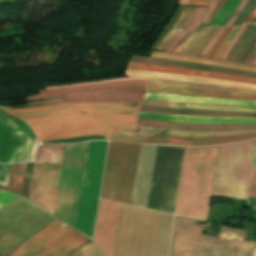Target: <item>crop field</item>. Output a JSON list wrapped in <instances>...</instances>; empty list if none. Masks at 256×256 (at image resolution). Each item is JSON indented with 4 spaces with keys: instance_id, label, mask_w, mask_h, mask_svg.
Masks as SVG:
<instances>
[{
    "instance_id": "8a807250",
    "label": "crop field",
    "mask_w": 256,
    "mask_h": 256,
    "mask_svg": "<svg viewBox=\"0 0 256 256\" xmlns=\"http://www.w3.org/2000/svg\"><path fill=\"white\" fill-rule=\"evenodd\" d=\"M144 82L127 80L39 90L40 95L27 97L26 100L75 96L29 105L77 101L140 102ZM130 102L61 103L6 110L24 119L32 127L38 139L45 141L89 135L112 136L114 128L134 130L135 116L140 103Z\"/></svg>"
},
{
    "instance_id": "ac0d7876",
    "label": "crop field",
    "mask_w": 256,
    "mask_h": 256,
    "mask_svg": "<svg viewBox=\"0 0 256 256\" xmlns=\"http://www.w3.org/2000/svg\"><path fill=\"white\" fill-rule=\"evenodd\" d=\"M217 150L185 148L174 214L206 220Z\"/></svg>"
},
{
    "instance_id": "34b2d1b8",
    "label": "crop field",
    "mask_w": 256,
    "mask_h": 256,
    "mask_svg": "<svg viewBox=\"0 0 256 256\" xmlns=\"http://www.w3.org/2000/svg\"><path fill=\"white\" fill-rule=\"evenodd\" d=\"M194 222L176 216L169 256H249L252 242H243L245 231L222 226L217 238H213L200 235L204 227Z\"/></svg>"
},
{
    "instance_id": "412701ff",
    "label": "crop field",
    "mask_w": 256,
    "mask_h": 256,
    "mask_svg": "<svg viewBox=\"0 0 256 256\" xmlns=\"http://www.w3.org/2000/svg\"><path fill=\"white\" fill-rule=\"evenodd\" d=\"M19 196L0 191V208ZM55 218L20 197L0 209V256H9Z\"/></svg>"
},
{
    "instance_id": "f4fd0767",
    "label": "crop field",
    "mask_w": 256,
    "mask_h": 256,
    "mask_svg": "<svg viewBox=\"0 0 256 256\" xmlns=\"http://www.w3.org/2000/svg\"><path fill=\"white\" fill-rule=\"evenodd\" d=\"M256 140L219 147L212 196L246 200Z\"/></svg>"
},
{
    "instance_id": "dd49c442",
    "label": "crop field",
    "mask_w": 256,
    "mask_h": 256,
    "mask_svg": "<svg viewBox=\"0 0 256 256\" xmlns=\"http://www.w3.org/2000/svg\"><path fill=\"white\" fill-rule=\"evenodd\" d=\"M139 147L110 142L101 198L130 204Z\"/></svg>"
},
{
    "instance_id": "e52e79f7",
    "label": "crop field",
    "mask_w": 256,
    "mask_h": 256,
    "mask_svg": "<svg viewBox=\"0 0 256 256\" xmlns=\"http://www.w3.org/2000/svg\"><path fill=\"white\" fill-rule=\"evenodd\" d=\"M183 151L158 146L148 208L173 214Z\"/></svg>"
},
{
    "instance_id": "d8731c3e",
    "label": "crop field",
    "mask_w": 256,
    "mask_h": 256,
    "mask_svg": "<svg viewBox=\"0 0 256 256\" xmlns=\"http://www.w3.org/2000/svg\"><path fill=\"white\" fill-rule=\"evenodd\" d=\"M77 232L57 220L27 239L10 256H68L89 240ZM70 256L83 255L76 250Z\"/></svg>"
},
{
    "instance_id": "5a996713",
    "label": "crop field",
    "mask_w": 256,
    "mask_h": 256,
    "mask_svg": "<svg viewBox=\"0 0 256 256\" xmlns=\"http://www.w3.org/2000/svg\"><path fill=\"white\" fill-rule=\"evenodd\" d=\"M62 164H34L28 200L54 213Z\"/></svg>"
},
{
    "instance_id": "3316defc",
    "label": "crop field",
    "mask_w": 256,
    "mask_h": 256,
    "mask_svg": "<svg viewBox=\"0 0 256 256\" xmlns=\"http://www.w3.org/2000/svg\"><path fill=\"white\" fill-rule=\"evenodd\" d=\"M31 143L14 122L0 114V163L26 161Z\"/></svg>"
},
{
    "instance_id": "28ad6ade",
    "label": "crop field",
    "mask_w": 256,
    "mask_h": 256,
    "mask_svg": "<svg viewBox=\"0 0 256 256\" xmlns=\"http://www.w3.org/2000/svg\"><path fill=\"white\" fill-rule=\"evenodd\" d=\"M121 204L100 200L93 240L105 256H112Z\"/></svg>"
},
{
    "instance_id": "d1516ede",
    "label": "crop field",
    "mask_w": 256,
    "mask_h": 256,
    "mask_svg": "<svg viewBox=\"0 0 256 256\" xmlns=\"http://www.w3.org/2000/svg\"><path fill=\"white\" fill-rule=\"evenodd\" d=\"M157 146L141 144L131 204L147 206Z\"/></svg>"
},
{
    "instance_id": "22f410ed",
    "label": "crop field",
    "mask_w": 256,
    "mask_h": 256,
    "mask_svg": "<svg viewBox=\"0 0 256 256\" xmlns=\"http://www.w3.org/2000/svg\"><path fill=\"white\" fill-rule=\"evenodd\" d=\"M138 129H139V132L115 129L114 135L150 138L154 133H158V134L171 135V136L201 138V137L236 136V135H242V134L256 133V129L206 131V132L182 131V130L154 128V127H143V126H138Z\"/></svg>"
},
{
    "instance_id": "cbeb9de0",
    "label": "crop field",
    "mask_w": 256,
    "mask_h": 256,
    "mask_svg": "<svg viewBox=\"0 0 256 256\" xmlns=\"http://www.w3.org/2000/svg\"><path fill=\"white\" fill-rule=\"evenodd\" d=\"M131 69H140V70H149V71H157V72H165V73H173V74H181V75H190V76H198V77H206V78H214V79H222V80H230V81H238L256 84V79L233 76L227 74H220L202 70H192V69H182V68H172V67H164V66H156V65H148L141 63H133L129 62L128 67Z\"/></svg>"
},
{
    "instance_id": "5142ce71",
    "label": "crop field",
    "mask_w": 256,
    "mask_h": 256,
    "mask_svg": "<svg viewBox=\"0 0 256 256\" xmlns=\"http://www.w3.org/2000/svg\"><path fill=\"white\" fill-rule=\"evenodd\" d=\"M125 75L134 76V77H142V78H151V79H170V80L197 82V83H205V84H212V85L233 86V87H240V88L256 90V86L250 85V84L222 81V80H214V79H206V78L189 77V76H181V75L164 74V73H156V72H148V71H140V70L127 69Z\"/></svg>"
},
{
    "instance_id": "d9b57169",
    "label": "crop field",
    "mask_w": 256,
    "mask_h": 256,
    "mask_svg": "<svg viewBox=\"0 0 256 256\" xmlns=\"http://www.w3.org/2000/svg\"><path fill=\"white\" fill-rule=\"evenodd\" d=\"M137 118L156 119L171 122H192L205 124H256V119L251 118H214V117H187L154 113L139 112Z\"/></svg>"
},
{
    "instance_id": "733c2abd",
    "label": "crop field",
    "mask_w": 256,
    "mask_h": 256,
    "mask_svg": "<svg viewBox=\"0 0 256 256\" xmlns=\"http://www.w3.org/2000/svg\"><path fill=\"white\" fill-rule=\"evenodd\" d=\"M130 61L148 63V64H156V65H164V66H172V67L202 69V70H208V71L256 78V73L242 71V70L228 69V68H223V67H219V66L201 65V64H193V63L169 61V60L154 59V58H147V57H137V56H132Z\"/></svg>"
},
{
    "instance_id": "4a817a6b",
    "label": "crop field",
    "mask_w": 256,
    "mask_h": 256,
    "mask_svg": "<svg viewBox=\"0 0 256 256\" xmlns=\"http://www.w3.org/2000/svg\"><path fill=\"white\" fill-rule=\"evenodd\" d=\"M144 99L256 107V102H251V101L214 99V98H205V97H187V96L165 95V94H155V93H146Z\"/></svg>"
},
{
    "instance_id": "bc2a9ffb",
    "label": "crop field",
    "mask_w": 256,
    "mask_h": 256,
    "mask_svg": "<svg viewBox=\"0 0 256 256\" xmlns=\"http://www.w3.org/2000/svg\"><path fill=\"white\" fill-rule=\"evenodd\" d=\"M138 125L165 127L182 130H226V129H250L256 128V125H204V124H191V123H170L154 120L137 119Z\"/></svg>"
},
{
    "instance_id": "214f88e0",
    "label": "crop field",
    "mask_w": 256,
    "mask_h": 256,
    "mask_svg": "<svg viewBox=\"0 0 256 256\" xmlns=\"http://www.w3.org/2000/svg\"><path fill=\"white\" fill-rule=\"evenodd\" d=\"M146 92L165 93V94H178L188 96H206L214 98H229V99H242L256 101V97L242 96L236 94L217 93L203 90H189V89H178V88H167L146 85Z\"/></svg>"
},
{
    "instance_id": "92a150f3",
    "label": "crop field",
    "mask_w": 256,
    "mask_h": 256,
    "mask_svg": "<svg viewBox=\"0 0 256 256\" xmlns=\"http://www.w3.org/2000/svg\"><path fill=\"white\" fill-rule=\"evenodd\" d=\"M146 84L158 85V86H168V87H178V88L203 89V90H210V91H217V92L237 93V94H243V95L256 96V91L239 89V88L197 84V83L147 79Z\"/></svg>"
},
{
    "instance_id": "dafd665d",
    "label": "crop field",
    "mask_w": 256,
    "mask_h": 256,
    "mask_svg": "<svg viewBox=\"0 0 256 256\" xmlns=\"http://www.w3.org/2000/svg\"><path fill=\"white\" fill-rule=\"evenodd\" d=\"M139 111L168 113V114H182V115H192V116L256 118V114H251V113L214 112V111H203V110H192V109L161 108V107H146V106H141Z\"/></svg>"
},
{
    "instance_id": "00972430",
    "label": "crop field",
    "mask_w": 256,
    "mask_h": 256,
    "mask_svg": "<svg viewBox=\"0 0 256 256\" xmlns=\"http://www.w3.org/2000/svg\"><path fill=\"white\" fill-rule=\"evenodd\" d=\"M168 137L169 136L153 135L149 141L150 143L167 144ZM254 137H256V134L243 135V136H237V137H225V138H201V139L180 138V137H172V138H178V139H182V141L191 142V145H207V144H221V143L245 140V139L254 138ZM172 138H169L168 143L190 144V143L181 142V140L172 139Z\"/></svg>"
},
{
    "instance_id": "a9b5d70f",
    "label": "crop field",
    "mask_w": 256,
    "mask_h": 256,
    "mask_svg": "<svg viewBox=\"0 0 256 256\" xmlns=\"http://www.w3.org/2000/svg\"><path fill=\"white\" fill-rule=\"evenodd\" d=\"M256 42V28H249L247 27L243 34L240 36L238 41L236 42L234 48L232 49L231 53L229 54L227 60L239 63H242L243 59L252 48V46Z\"/></svg>"
},
{
    "instance_id": "4177f3b9",
    "label": "crop field",
    "mask_w": 256,
    "mask_h": 256,
    "mask_svg": "<svg viewBox=\"0 0 256 256\" xmlns=\"http://www.w3.org/2000/svg\"><path fill=\"white\" fill-rule=\"evenodd\" d=\"M64 145L39 146L34 163H61Z\"/></svg>"
},
{
    "instance_id": "730fd06b",
    "label": "crop field",
    "mask_w": 256,
    "mask_h": 256,
    "mask_svg": "<svg viewBox=\"0 0 256 256\" xmlns=\"http://www.w3.org/2000/svg\"><path fill=\"white\" fill-rule=\"evenodd\" d=\"M26 163L12 164L7 190L20 195Z\"/></svg>"
},
{
    "instance_id": "eef30255",
    "label": "crop field",
    "mask_w": 256,
    "mask_h": 256,
    "mask_svg": "<svg viewBox=\"0 0 256 256\" xmlns=\"http://www.w3.org/2000/svg\"><path fill=\"white\" fill-rule=\"evenodd\" d=\"M218 2L219 0H212L208 9L198 8L185 30L193 33L201 23H205Z\"/></svg>"
},
{
    "instance_id": "ae1a2a85",
    "label": "crop field",
    "mask_w": 256,
    "mask_h": 256,
    "mask_svg": "<svg viewBox=\"0 0 256 256\" xmlns=\"http://www.w3.org/2000/svg\"><path fill=\"white\" fill-rule=\"evenodd\" d=\"M241 0H228L218 15L211 22L210 26H225L232 13L235 11Z\"/></svg>"
},
{
    "instance_id": "d3111659",
    "label": "crop field",
    "mask_w": 256,
    "mask_h": 256,
    "mask_svg": "<svg viewBox=\"0 0 256 256\" xmlns=\"http://www.w3.org/2000/svg\"><path fill=\"white\" fill-rule=\"evenodd\" d=\"M150 57L170 59V60H178V61H186V62H193V63H201V64L220 65V66H226V67H232V68H238V69H244V70H249V71L256 72V69L238 67V66H233V65H229V64H223V63H217V62L200 61V60H193V59L180 58V57H174V56L155 55V54H151Z\"/></svg>"
},
{
    "instance_id": "750c4746",
    "label": "crop field",
    "mask_w": 256,
    "mask_h": 256,
    "mask_svg": "<svg viewBox=\"0 0 256 256\" xmlns=\"http://www.w3.org/2000/svg\"><path fill=\"white\" fill-rule=\"evenodd\" d=\"M142 105L147 106H161V107H177V108H188L185 107V103L179 102H165V101H151V100H144ZM198 109V108H193ZM203 110H214V111H231V110H219V109H203ZM232 112H242V111H232ZM256 113V112H252Z\"/></svg>"
},
{
    "instance_id": "bd1437ed",
    "label": "crop field",
    "mask_w": 256,
    "mask_h": 256,
    "mask_svg": "<svg viewBox=\"0 0 256 256\" xmlns=\"http://www.w3.org/2000/svg\"><path fill=\"white\" fill-rule=\"evenodd\" d=\"M211 29H212V27L200 31V32L195 36V38L186 46V48L183 50L182 53H189V54H192L193 50H194L195 47L198 45V43L203 39V37H204Z\"/></svg>"
},
{
    "instance_id": "1d83c4d3",
    "label": "crop field",
    "mask_w": 256,
    "mask_h": 256,
    "mask_svg": "<svg viewBox=\"0 0 256 256\" xmlns=\"http://www.w3.org/2000/svg\"><path fill=\"white\" fill-rule=\"evenodd\" d=\"M151 53L174 55V56H181V57L194 58V59H200V60H209V61H217V62L229 63V64L238 65V66L253 67V66H248V65H244V64H236V63H232V62H228V61H222V60H215V59L197 57V56H193V55H189V54H171V53H161V52H156V51H152ZM253 68H256V67H253Z\"/></svg>"
},
{
    "instance_id": "120bbe31",
    "label": "crop field",
    "mask_w": 256,
    "mask_h": 256,
    "mask_svg": "<svg viewBox=\"0 0 256 256\" xmlns=\"http://www.w3.org/2000/svg\"><path fill=\"white\" fill-rule=\"evenodd\" d=\"M255 2H256V0H249L247 5L245 6L244 10L242 11V13L239 15V17L237 18V20L233 24V26H239V25L242 24V22L246 19V17L248 16L249 12L253 8Z\"/></svg>"
},
{
    "instance_id": "d32e631a",
    "label": "crop field",
    "mask_w": 256,
    "mask_h": 256,
    "mask_svg": "<svg viewBox=\"0 0 256 256\" xmlns=\"http://www.w3.org/2000/svg\"><path fill=\"white\" fill-rule=\"evenodd\" d=\"M247 26H243L240 27V29L238 30V32L235 34V36L233 37V39L231 40L230 44L228 45V47L225 49V51L223 52L222 56L220 57V59L225 60L226 57L228 56V54L230 53L231 49L233 48L235 42L237 41V39L239 38V36L242 34V32L245 30Z\"/></svg>"
},
{
    "instance_id": "5866460e",
    "label": "crop field",
    "mask_w": 256,
    "mask_h": 256,
    "mask_svg": "<svg viewBox=\"0 0 256 256\" xmlns=\"http://www.w3.org/2000/svg\"><path fill=\"white\" fill-rule=\"evenodd\" d=\"M218 28L214 27L207 35L206 37L202 40V42L198 45V47L194 50L193 55L199 56V54L202 52L208 41L211 39L213 34L216 32Z\"/></svg>"
},
{
    "instance_id": "028f5c9d",
    "label": "crop field",
    "mask_w": 256,
    "mask_h": 256,
    "mask_svg": "<svg viewBox=\"0 0 256 256\" xmlns=\"http://www.w3.org/2000/svg\"><path fill=\"white\" fill-rule=\"evenodd\" d=\"M93 245H94V243H93ZM79 250L81 251V253L83 255L88 254L89 256H103L95 245L91 248L88 245H86ZM88 255H86V256H88Z\"/></svg>"
},
{
    "instance_id": "e1f06a70",
    "label": "crop field",
    "mask_w": 256,
    "mask_h": 256,
    "mask_svg": "<svg viewBox=\"0 0 256 256\" xmlns=\"http://www.w3.org/2000/svg\"><path fill=\"white\" fill-rule=\"evenodd\" d=\"M10 165H0V185L6 186Z\"/></svg>"
},
{
    "instance_id": "0bd39190",
    "label": "crop field",
    "mask_w": 256,
    "mask_h": 256,
    "mask_svg": "<svg viewBox=\"0 0 256 256\" xmlns=\"http://www.w3.org/2000/svg\"><path fill=\"white\" fill-rule=\"evenodd\" d=\"M237 27H233V29L231 30V32L229 33V35L227 36V38L225 39V41L223 42V44L221 45V47L218 49V51L216 52L214 58L219 59L220 55L222 54V52L224 51V49L227 47V45L229 44V41L231 40V38L233 37V35L235 34V32L238 30ZM236 29V31H235ZM235 31V32H234ZM234 32V33H233ZM233 33V35H232ZM232 35V36H231ZM231 36V37H230ZM230 37V39H229ZM229 39V41H227Z\"/></svg>"
},
{
    "instance_id": "b80d0937",
    "label": "crop field",
    "mask_w": 256,
    "mask_h": 256,
    "mask_svg": "<svg viewBox=\"0 0 256 256\" xmlns=\"http://www.w3.org/2000/svg\"><path fill=\"white\" fill-rule=\"evenodd\" d=\"M224 28H219L218 31L214 34L210 42L207 44L203 52L200 54V56L205 57L207 52L210 50V48L213 46L214 42L217 40L221 32L223 31Z\"/></svg>"
},
{
    "instance_id": "c035e120",
    "label": "crop field",
    "mask_w": 256,
    "mask_h": 256,
    "mask_svg": "<svg viewBox=\"0 0 256 256\" xmlns=\"http://www.w3.org/2000/svg\"><path fill=\"white\" fill-rule=\"evenodd\" d=\"M105 140H119V141H131V142L147 143L148 139L114 136V137H106Z\"/></svg>"
},
{
    "instance_id": "c21b1889",
    "label": "crop field",
    "mask_w": 256,
    "mask_h": 256,
    "mask_svg": "<svg viewBox=\"0 0 256 256\" xmlns=\"http://www.w3.org/2000/svg\"><path fill=\"white\" fill-rule=\"evenodd\" d=\"M231 29H232V27L226 28L225 32L222 34V36L219 38V40L216 42L215 46L211 50V52L208 56L209 58H213L215 52L217 51V49L219 48V46L221 45V43L223 42V40L225 39V37L227 36V34L229 33V31Z\"/></svg>"
},
{
    "instance_id": "03da06ac",
    "label": "crop field",
    "mask_w": 256,
    "mask_h": 256,
    "mask_svg": "<svg viewBox=\"0 0 256 256\" xmlns=\"http://www.w3.org/2000/svg\"><path fill=\"white\" fill-rule=\"evenodd\" d=\"M248 0H242L240 5L238 6V8L236 9V11L234 12V14L232 15V17L230 18V20L228 21V23L226 24V26H232L233 22L235 21V19L237 18V16L240 14V12L243 10L244 6L246 5Z\"/></svg>"
},
{
    "instance_id": "b54c1fbb",
    "label": "crop field",
    "mask_w": 256,
    "mask_h": 256,
    "mask_svg": "<svg viewBox=\"0 0 256 256\" xmlns=\"http://www.w3.org/2000/svg\"><path fill=\"white\" fill-rule=\"evenodd\" d=\"M210 2H211V0H188L187 5L208 7Z\"/></svg>"
},
{
    "instance_id": "5d738f31",
    "label": "crop field",
    "mask_w": 256,
    "mask_h": 256,
    "mask_svg": "<svg viewBox=\"0 0 256 256\" xmlns=\"http://www.w3.org/2000/svg\"><path fill=\"white\" fill-rule=\"evenodd\" d=\"M255 57H256V44L253 46L251 51L248 53V55L246 56V58L243 61V63L251 65V63L253 62Z\"/></svg>"
},
{
    "instance_id": "d23c7cc5",
    "label": "crop field",
    "mask_w": 256,
    "mask_h": 256,
    "mask_svg": "<svg viewBox=\"0 0 256 256\" xmlns=\"http://www.w3.org/2000/svg\"><path fill=\"white\" fill-rule=\"evenodd\" d=\"M249 197L256 198V167L253 168L252 184Z\"/></svg>"
},
{
    "instance_id": "425ffa30",
    "label": "crop field",
    "mask_w": 256,
    "mask_h": 256,
    "mask_svg": "<svg viewBox=\"0 0 256 256\" xmlns=\"http://www.w3.org/2000/svg\"><path fill=\"white\" fill-rule=\"evenodd\" d=\"M227 0H221L219 3H218V5L216 6V8L214 9V11H213V13L211 14V18H210V20H209V18H208V20H209V22H208V20L206 21V24H207V22H208V24H210V22L213 20V18L217 15V13L220 11V9L224 6V4H225V2H226Z\"/></svg>"
},
{
    "instance_id": "25e5ab78",
    "label": "crop field",
    "mask_w": 256,
    "mask_h": 256,
    "mask_svg": "<svg viewBox=\"0 0 256 256\" xmlns=\"http://www.w3.org/2000/svg\"><path fill=\"white\" fill-rule=\"evenodd\" d=\"M190 7H185L181 16L179 17V19L176 21L174 27L179 28L184 20V18L186 17L188 11H189Z\"/></svg>"
},
{
    "instance_id": "73cf0c24",
    "label": "crop field",
    "mask_w": 256,
    "mask_h": 256,
    "mask_svg": "<svg viewBox=\"0 0 256 256\" xmlns=\"http://www.w3.org/2000/svg\"><path fill=\"white\" fill-rule=\"evenodd\" d=\"M178 29H171V31L168 33V35L165 37V39L158 45L156 50L161 51L162 47L165 45V43L169 40V38L177 31Z\"/></svg>"
},
{
    "instance_id": "89e229c0",
    "label": "crop field",
    "mask_w": 256,
    "mask_h": 256,
    "mask_svg": "<svg viewBox=\"0 0 256 256\" xmlns=\"http://www.w3.org/2000/svg\"><path fill=\"white\" fill-rule=\"evenodd\" d=\"M189 107H199V108H219V109H231V110H242V111H256L251 109H240V108H231V107H209V106H195V105H186Z\"/></svg>"
},
{
    "instance_id": "1f2cbd36",
    "label": "crop field",
    "mask_w": 256,
    "mask_h": 256,
    "mask_svg": "<svg viewBox=\"0 0 256 256\" xmlns=\"http://www.w3.org/2000/svg\"><path fill=\"white\" fill-rule=\"evenodd\" d=\"M255 17H256V5L254 6V8L252 9L251 13L249 14V16L247 17V19L244 21L243 24L253 23Z\"/></svg>"
},
{
    "instance_id": "dbb93151",
    "label": "crop field",
    "mask_w": 256,
    "mask_h": 256,
    "mask_svg": "<svg viewBox=\"0 0 256 256\" xmlns=\"http://www.w3.org/2000/svg\"><path fill=\"white\" fill-rule=\"evenodd\" d=\"M191 36V34L187 33L180 41L179 43L173 48L171 53H175L178 48Z\"/></svg>"
},
{
    "instance_id": "0fb4a251",
    "label": "crop field",
    "mask_w": 256,
    "mask_h": 256,
    "mask_svg": "<svg viewBox=\"0 0 256 256\" xmlns=\"http://www.w3.org/2000/svg\"><path fill=\"white\" fill-rule=\"evenodd\" d=\"M181 30H178L171 38L170 40L166 43V45L163 47L162 51H165L175 40V38L181 33Z\"/></svg>"
},
{
    "instance_id": "1d79db26",
    "label": "crop field",
    "mask_w": 256,
    "mask_h": 256,
    "mask_svg": "<svg viewBox=\"0 0 256 256\" xmlns=\"http://www.w3.org/2000/svg\"><path fill=\"white\" fill-rule=\"evenodd\" d=\"M194 10H195V8L192 7L191 10H190V12H189V14H188L187 17L185 18L183 25H182L180 28L184 29V28L187 26V24H188V22H189V20H190V18H191V16H192Z\"/></svg>"
},
{
    "instance_id": "9d1cf04e",
    "label": "crop field",
    "mask_w": 256,
    "mask_h": 256,
    "mask_svg": "<svg viewBox=\"0 0 256 256\" xmlns=\"http://www.w3.org/2000/svg\"><path fill=\"white\" fill-rule=\"evenodd\" d=\"M186 34V32H182L177 38L176 40L173 42V44L166 50L167 52H170L172 50V48L178 43V41Z\"/></svg>"
},
{
    "instance_id": "447ae74e",
    "label": "crop field",
    "mask_w": 256,
    "mask_h": 256,
    "mask_svg": "<svg viewBox=\"0 0 256 256\" xmlns=\"http://www.w3.org/2000/svg\"><path fill=\"white\" fill-rule=\"evenodd\" d=\"M196 34H197V32L194 33V34L179 48V50H178L176 53H181L182 50L185 48V46L194 38V36H195Z\"/></svg>"
},
{
    "instance_id": "0765c3eb",
    "label": "crop field",
    "mask_w": 256,
    "mask_h": 256,
    "mask_svg": "<svg viewBox=\"0 0 256 256\" xmlns=\"http://www.w3.org/2000/svg\"><path fill=\"white\" fill-rule=\"evenodd\" d=\"M186 104H191V103H186ZM196 105H204V104H196ZM210 106H217V105H210ZM252 109H256V108H252Z\"/></svg>"
},
{
    "instance_id": "db79e9e6",
    "label": "crop field",
    "mask_w": 256,
    "mask_h": 256,
    "mask_svg": "<svg viewBox=\"0 0 256 256\" xmlns=\"http://www.w3.org/2000/svg\"><path fill=\"white\" fill-rule=\"evenodd\" d=\"M256 166V154H255V160H254V165L253 167Z\"/></svg>"
},
{
    "instance_id": "7b73153f",
    "label": "crop field",
    "mask_w": 256,
    "mask_h": 256,
    "mask_svg": "<svg viewBox=\"0 0 256 256\" xmlns=\"http://www.w3.org/2000/svg\"><path fill=\"white\" fill-rule=\"evenodd\" d=\"M252 65L256 66V59L254 60V62L252 63Z\"/></svg>"
},
{
    "instance_id": "78b8030e",
    "label": "crop field",
    "mask_w": 256,
    "mask_h": 256,
    "mask_svg": "<svg viewBox=\"0 0 256 256\" xmlns=\"http://www.w3.org/2000/svg\"><path fill=\"white\" fill-rule=\"evenodd\" d=\"M254 256H256V248H255Z\"/></svg>"
},
{
    "instance_id": "0f1d7ab4",
    "label": "crop field",
    "mask_w": 256,
    "mask_h": 256,
    "mask_svg": "<svg viewBox=\"0 0 256 256\" xmlns=\"http://www.w3.org/2000/svg\"><path fill=\"white\" fill-rule=\"evenodd\" d=\"M254 23H256V19H255Z\"/></svg>"
}]
</instances>
